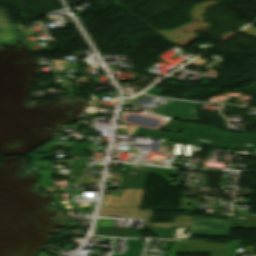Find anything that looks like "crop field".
Instances as JSON below:
<instances>
[{"mask_svg":"<svg viewBox=\"0 0 256 256\" xmlns=\"http://www.w3.org/2000/svg\"><path fill=\"white\" fill-rule=\"evenodd\" d=\"M139 230H153L158 238L173 239V229L158 228H97L93 235L141 237Z\"/></svg>","mask_w":256,"mask_h":256,"instance_id":"6","label":"crop field"},{"mask_svg":"<svg viewBox=\"0 0 256 256\" xmlns=\"http://www.w3.org/2000/svg\"><path fill=\"white\" fill-rule=\"evenodd\" d=\"M122 178L119 188L144 189L149 173L130 166L121 165Z\"/></svg>","mask_w":256,"mask_h":256,"instance_id":"7","label":"crop field"},{"mask_svg":"<svg viewBox=\"0 0 256 256\" xmlns=\"http://www.w3.org/2000/svg\"><path fill=\"white\" fill-rule=\"evenodd\" d=\"M200 104L171 100L155 113L174 119L198 121L196 112Z\"/></svg>","mask_w":256,"mask_h":256,"instance_id":"5","label":"crop field"},{"mask_svg":"<svg viewBox=\"0 0 256 256\" xmlns=\"http://www.w3.org/2000/svg\"><path fill=\"white\" fill-rule=\"evenodd\" d=\"M242 241H229V250H228V256H236L238 254H235L239 246H241ZM238 247V248H236Z\"/></svg>","mask_w":256,"mask_h":256,"instance_id":"14","label":"crop field"},{"mask_svg":"<svg viewBox=\"0 0 256 256\" xmlns=\"http://www.w3.org/2000/svg\"><path fill=\"white\" fill-rule=\"evenodd\" d=\"M73 159H70V160H58V161H60L61 163H69V162H71Z\"/></svg>","mask_w":256,"mask_h":256,"instance_id":"18","label":"crop field"},{"mask_svg":"<svg viewBox=\"0 0 256 256\" xmlns=\"http://www.w3.org/2000/svg\"><path fill=\"white\" fill-rule=\"evenodd\" d=\"M57 171L50 170H39L37 173L40 175L38 181L51 180L50 174L56 173Z\"/></svg>","mask_w":256,"mask_h":256,"instance_id":"15","label":"crop field"},{"mask_svg":"<svg viewBox=\"0 0 256 256\" xmlns=\"http://www.w3.org/2000/svg\"><path fill=\"white\" fill-rule=\"evenodd\" d=\"M87 162H88V160H86V159L77 158L75 160V162L72 164V166L70 167L71 170H74V172L69 175V179L76 180L80 170L82 169V167L86 166Z\"/></svg>","mask_w":256,"mask_h":256,"instance_id":"12","label":"crop field"},{"mask_svg":"<svg viewBox=\"0 0 256 256\" xmlns=\"http://www.w3.org/2000/svg\"><path fill=\"white\" fill-rule=\"evenodd\" d=\"M154 211H139V207H101L99 216L149 218L144 227H190L192 217L179 215L173 223L149 224Z\"/></svg>","mask_w":256,"mask_h":256,"instance_id":"2","label":"crop field"},{"mask_svg":"<svg viewBox=\"0 0 256 256\" xmlns=\"http://www.w3.org/2000/svg\"><path fill=\"white\" fill-rule=\"evenodd\" d=\"M230 229L229 220L193 217L190 235L228 238Z\"/></svg>","mask_w":256,"mask_h":256,"instance_id":"4","label":"crop field"},{"mask_svg":"<svg viewBox=\"0 0 256 256\" xmlns=\"http://www.w3.org/2000/svg\"><path fill=\"white\" fill-rule=\"evenodd\" d=\"M145 190H124L121 197L104 195L102 206H140Z\"/></svg>","mask_w":256,"mask_h":256,"instance_id":"8","label":"crop field"},{"mask_svg":"<svg viewBox=\"0 0 256 256\" xmlns=\"http://www.w3.org/2000/svg\"><path fill=\"white\" fill-rule=\"evenodd\" d=\"M88 145L86 144H79L75 143L74 147L72 150L69 152L68 155L72 156H83V157H89L90 154L88 153H83L85 149L87 148ZM51 148L57 149V148H65V147H49V146H41L39 149L35 150L34 153H52L53 150ZM39 151V152H36Z\"/></svg>","mask_w":256,"mask_h":256,"instance_id":"9","label":"crop field"},{"mask_svg":"<svg viewBox=\"0 0 256 256\" xmlns=\"http://www.w3.org/2000/svg\"><path fill=\"white\" fill-rule=\"evenodd\" d=\"M54 156L53 154H42V155H28L31 161L43 160L45 157Z\"/></svg>","mask_w":256,"mask_h":256,"instance_id":"16","label":"crop field"},{"mask_svg":"<svg viewBox=\"0 0 256 256\" xmlns=\"http://www.w3.org/2000/svg\"><path fill=\"white\" fill-rule=\"evenodd\" d=\"M49 162L47 161H37V162H31V166H48Z\"/></svg>","mask_w":256,"mask_h":256,"instance_id":"17","label":"crop field"},{"mask_svg":"<svg viewBox=\"0 0 256 256\" xmlns=\"http://www.w3.org/2000/svg\"><path fill=\"white\" fill-rule=\"evenodd\" d=\"M232 228L256 229V216L233 215Z\"/></svg>","mask_w":256,"mask_h":256,"instance_id":"10","label":"crop field"},{"mask_svg":"<svg viewBox=\"0 0 256 256\" xmlns=\"http://www.w3.org/2000/svg\"><path fill=\"white\" fill-rule=\"evenodd\" d=\"M148 171L154 173V174H157L167 180H169L173 170H170V169H162V168H153V167H149L148 168Z\"/></svg>","mask_w":256,"mask_h":256,"instance_id":"13","label":"crop field"},{"mask_svg":"<svg viewBox=\"0 0 256 256\" xmlns=\"http://www.w3.org/2000/svg\"><path fill=\"white\" fill-rule=\"evenodd\" d=\"M227 244H207L200 240L173 241L166 256L176 253L210 254V256H226Z\"/></svg>","mask_w":256,"mask_h":256,"instance_id":"3","label":"crop field"},{"mask_svg":"<svg viewBox=\"0 0 256 256\" xmlns=\"http://www.w3.org/2000/svg\"><path fill=\"white\" fill-rule=\"evenodd\" d=\"M197 144L232 150L256 151V135L221 132L214 128L195 125ZM221 135L222 138L217 136Z\"/></svg>","mask_w":256,"mask_h":256,"instance_id":"1","label":"crop field"},{"mask_svg":"<svg viewBox=\"0 0 256 256\" xmlns=\"http://www.w3.org/2000/svg\"><path fill=\"white\" fill-rule=\"evenodd\" d=\"M128 250L125 256H141L145 243L140 240L127 239ZM117 256V255H112Z\"/></svg>","mask_w":256,"mask_h":256,"instance_id":"11","label":"crop field"}]
</instances>
